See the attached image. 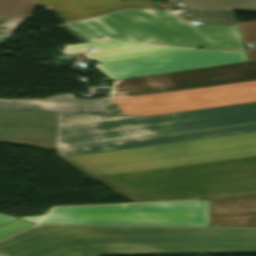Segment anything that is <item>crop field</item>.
Here are the masks:
<instances>
[{
	"instance_id": "1",
	"label": "crop field",
	"mask_w": 256,
	"mask_h": 256,
	"mask_svg": "<svg viewBox=\"0 0 256 256\" xmlns=\"http://www.w3.org/2000/svg\"><path fill=\"white\" fill-rule=\"evenodd\" d=\"M62 159L134 202L256 193V133Z\"/></svg>"
},
{
	"instance_id": "2",
	"label": "crop field",
	"mask_w": 256,
	"mask_h": 256,
	"mask_svg": "<svg viewBox=\"0 0 256 256\" xmlns=\"http://www.w3.org/2000/svg\"><path fill=\"white\" fill-rule=\"evenodd\" d=\"M256 122V102L152 117L0 110V142L46 148L110 141ZM256 132V125L197 131L56 151L59 157Z\"/></svg>"
},
{
	"instance_id": "3",
	"label": "crop field",
	"mask_w": 256,
	"mask_h": 256,
	"mask_svg": "<svg viewBox=\"0 0 256 256\" xmlns=\"http://www.w3.org/2000/svg\"><path fill=\"white\" fill-rule=\"evenodd\" d=\"M10 256L256 252V229L38 226L0 242Z\"/></svg>"
},
{
	"instance_id": "4",
	"label": "crop field",
	"mask_w": 256,
	"mask_h": 256,
	"mask_svg": "<svg viewBox=\"0 0 256 256\" xmlns=\"http://www.w3.org/2000/svg\"><path fill=\"white\" fill-rule=\"evenodd\" d=\"M61 28L81 42L118 40L244 51L238 26L191 27L169 11H124Z\"/></svg>"
},
{
	"instance_id": "5",
	"label": "crop field",
	"mask_w": 256,
	"mask_h": 256,
	"mask_svg": "<svg viewBox=\"0 0 256 256\" xmlns=\"http://www.w3.org/2000/svg\"><path fill=\"white\" fill-rule=\"evenodd\" d=\"M37 223L209 226L208 201L124 203L52 207Z\"/></svg>"
},
{
	"instance_id": "6",
	"label": "crop field",
	"mask_w": 256,
	"mask_h": 256,
	"mask_svg": "<svg viewBox=\"0 0 256 256\" xmlns=\"http://www.w3.org/2000/svg\"><path fill=\"white\" fill-rule=\"evenodd\" d=\"M256 101V82L173 92L148 97L114 98L123 115L152 116Z\"/></svg>"
},
{
	"instance_id": "7",
	"label": "crop field",
	"mask_w": 256,
	"mask_h": 256,
	"mask_svg": "<svg viewBox=\"0 0 256 256\" xmlns=\"http://www.w3.org/2000/svg\"><path fill=\"white\" fill-rule=\"evenodd\" d=\"M256 80V61L114 81L110 97L201 88Z\"/></svg>"
},
{
	"instance_id": "8",
	"label": "crop field",
	"mask_w": 256,
	"mask_h": 256,
	"mask_svg": "<svg viewBox=\"0 0 256 256\" xmlns=\"http://www.w3.org/2000/svg\"><path fill=\"white\" fill-rule=\"evenodd\" d=\"M247 61L245 52L194 50L137 58L95 67L113 80Z\"/></svg>"
},
{
	"instance_id": "9",
	"label": "crop field",
	"mask_w": 256,
	"mask_h": 256,
	"mask_svg": "<svg viewBox=\"0 0 256 256\" xmlns=\"http://www.w3.org/2000/svg\"><path fill=\"white\" fill-rule=\"evenodd\" d=\"M93 47L95 52L86 53L87 59L99 62L116 61L172 51L195 49L165 45L141 44L118 41H101L93 43H78L63 46L66 55L87 52L85 48Z\"/></svg>"
},
{
	"instance_id": "10",
	"label": "crop field",
	"mask_w": 256,
	"mask_h": 256,
	"mask_svg": "<svg viewBox=\"0 0 256 256\" xmlns=\"http://www.w3.org/2000/svg\"><path fill=\"white\" fill-rule=\"evenodd\" d=\"M36 5L52 6L64 23L123 9L153 8L150 0H38Z\"/></svg>"
},
{
	"instance_id": "11",
	"label": "crop field",
	"mask_w": 256,
	"mask_h": 256,
	"mask_svg": "<svg viewBox=\"0 0 256 256\" xmlns=\"http://www.w3.org/2000/svg\"><path fill=\"white\" fill-rule=\"evenodd\" d=\"M210 226H255L256 194L209 199Z\"/></svg>"
},
{
	"instance_id": "12",
	"label": "crop field",
	"mask_w": 256,
	"mask_h": 256,
	"mask_svg": "<svg viewBox=\"0 0 256 256\" xmlns=\"http://www.w3.org/2000/svg\"><path fill=\"white\" fill-rule=\"evenodd\" d=\"M110 99H76L73 94L63 95L44 101L0 100V109L78 113L80 111H104Z\"/></svg>"
},
{
	"instance_id": "13",
	"label": "crop field",
	"mask_w": 256,
	"mask_h": 256,
	"mask_svg": "<svg viewBox=\"0 0 256 256\" xmlns=\"http://www.w3.org/2000/svg\"><path fill=\"white\" fill-rule=\"evenodd\" d=\"M186 9H235L256 12V0H183Z\"/></svg>"
},
{
	"instance_id": "14",
	"label": "crop field",
	"mask_w": 256,
	"mask_h": 256,
	"mask_svg": "<svg viewBox=\"0 0 256 256\" xmlns=\"http://www.w3.org/2000/svg\"><path fill=\"white\" fill-rule=\"evenodd\" d=\"M184 20H197L202 24L238 25L234 10H191Z\"/></svg>"
},
{
	"instance_id": "15",
	"label": "crop field",
	"mask_w": 256,
	"mask_h": 256,
	"mask_svg": "<svg viewBox=\"0 0 256 256\" xmlns=\"http://www.w3.org/2000/svg\"><path fill=\"white\" fill-rule=\"evenodd\" d=\"M37 0H0L1 17L31 16Z\"/></svg>"
},
{
	"instance_id": "16",
	"label": "crop field",
	"mask_w": 256,
	"mask_h": 256,
	"mask_svg": "<svg viewBox=\"0 0 256 256\" xmlns=\"http://www.w3.org/2000/svg\"><path fill=\"white\" fill-rule=\"evenodd\" d=\"M31 225H33V223H29L19 219L7 223L0 227V240L12 234H15Z\"/></svg>"
},
{
	"instance_id": "17",
	"label": "crop field",
	"mask_w": 256,
	"mask_h": 256,
	"mask_svg": "<svg viewBox=\"0 0 256 256\" xmlns=\"http://www.w3.org/2000/svg\"><path fill=\"white\" fill-rule=\"evenodd\" d=\"M243 39V43L256 42V21L238 23Z\"/></svg>"
},
{
	"instance_id": "18",
	"label": "crop field",
	"mask_w": 256,
	"mask_h": 256,
	"mask_svg": "<svg viewBox=\"0 0 256 256\" xmlns=\"http://www.w3.org/2000/svg\"><path fill=\"white\" fill-rule=\"evenodd\" d=\"M26 18L0 19V35H10L13 29Z\"/></svg>"
},
{
	"instance_id": "19",
	"label": "crop field",
	"mask_w": 256,
	"mask_h": 256,
	"mask_svg": "<svg viewBox=\"0 0 256 256\" xmlns=\"http://www.w3.org/2000/svg\"><path fill=\"white\" fill-rule=\"evenodd\" d=\"M253 46L254 49H249V51L246 52L248 61L256 60V43L253 44Z\"/></svg>"
},
{
	"instance_id": "20",
	"label": "crop field",
	"mask_w": 256,
	"mask_h": 256,
	"mask_svg": "<svg viewBox=\"0 0 256 256\" xmlns=\"http://www.w3.org/2000/svg\"><path fill=\"white\" fill-rule=\"evenodd\" d=\"M14 219H16V218L8 216V215L0 214V226L7 222H10Z\"/></svg>"
},
{
	"instance_id": "21",
	"label": "crop field",
	"mask_w": 256,
	"mask_h": 256,
	"mask_svg": "<svg viewBox=\"0 0 256 256\" xmlns=\"http://www.w3.org/2000/svg\"><path fill=\"white\" fill-rule=\"evenodd\" d=\"M9 40V37H0V45L7 42Z\"/></svg>"
},
{
	"instance_id": "22",
	"label": "crop field",
	"mask_w": 256,
	"mask_h": 256,
	"mask_svg": "<svg viewBox=\"0 0 256 256\" xmlns=\"http://www.w3.org/2000/svg\"><path fill=\"white\" fill-rule=\"evenodd\" d=\"M0 256H4V255L0 254Z\"/></svg>"
}]
</instances>
